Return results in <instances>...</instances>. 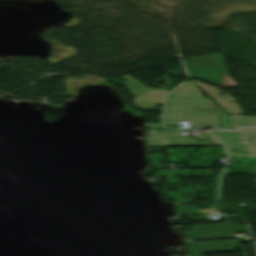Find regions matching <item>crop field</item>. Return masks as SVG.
<instances>
[{
	"label": "crop field",
	"mask_w": 256,
	"mask_h": 256,
	"mask_svg": "<svg viewBox=\"0 0 256 256\" xmlns=\"http://www.w3.org/2000/svg\"><path fill=\"white\" fill-rule=\"evenodd\" d=\"M192 227L194 232L180 233L187 238L196 240L235 238L233 232H245L249 234L247 226H242L239 223L199 225Z\"/></svg>",
	"instance_id": "412701ff"
},
{
	"label": "crop field",
	"mask_w": 256,
	"mask_h": 256,
	"mask_svg": "<svg viewBox=\"0 0 256 256\" xmlns=\"http://www.w3.org/2000/svg\"><path fill=\"white\" fill-rule=\"evenodd\" d=\"M245 134L212 132L213 137L225 144L229 156H256V132ZM247 138L252 141L255 149L248 142Z\"/></svg>",
	"instance_id": "34b2d1b8"
},
{
	"label": "crop field",
	"mask_w": 256,
	"mask_h": 256,
	"mask_svg": "<svg viewBox=\"0 0 256 256\" xmlns=\"http://www.w3.org/2000/svg\"><path fill=\"white\" fill-rule=\"evenodd\" d=\"M198 86H200L212 99H214L224 110H226L229 114H240L246 115L239 104L233 100L227 93L208 86L206 84L200 83L198 81L193 80ZM220 93L225 94L224 96L220 95ZM234 101V102H231ZM231 102V103H228Z\"/></svg>",
	"instance_id": "e52e79f7"
},
{
	"label": "crop field",
	"mask_w": 256,
	"mask_h": 256,
	"mask_svg": "<svg viewBox=\"0 0 256 256\" xmlns=\"http://www.w3.org/2000/svg\"><path fill=\"white\" fill-rule=\"evenodd\" d=\"M190 256H202L201 253L235 251L241 247L239 240L186 243Z\"/></svg>",
	"instance_id": "f4fd0767"
},
{
	"label": "crop field",
	"mask_w": 256,
	"mask_h": 256,
	"mask_svg": "<svg viewBox=\"0 0 256 256\" xmlns=\"http://www.w3.org/2000/svg\"><path fill=\"white\" fill-rule=\"evenodd\" d=\"M153 136H177L181 135V131L172 130H149Z\"/></svg>",
	"instance_id": "5a996713"
},
{
	"label": "crop field",
	"mask_w": 256,
	"mask_h": 256,
	"mask_svg": "<svg viewBox=\"0 0 256 256\" xmlns=\"http://www.w3.org/2000/svg\"><path fill=\"white\" fill-rule=\"evenodd\" d=\"M209 140L212 141L211 144L207 143V141L194 142L193 138L187 137H155L146 138V143L147 147L221 145L218 141L212 139L211 137H209Z\"/></svg>",
	"instance_id": "dd49c442"
},
{
	"label": "crop field",
	"mask_w": 256,
	"mask_h": 256,
	"mask_svg": "<svg viewBox=\"0 0 256 256\" xmlns=\"http://www.w3.org/2000/svg\"><path fill=\"white\" fill-rule=\"evenodd\" d=\"M222 128L227 130H233L229 120L228 115H219ZM232 123L235 127L234 130H251L256 129V117L252 116H240V115H232Z\"/></svg>",
	"instance_id": "d8731c3e"
},
{
	"label": "crop field",
	"mask_w": 256,
	"mask_h": 256,
	"mask_svg": "<svg viewBox=\"0 0 256 256\" xmlns=\"http://www.w3.org/2000/svg\"><path fill=\"white\" fill-rule=\"evenodd\" d=\"M120 78L126 81L124 82L127 85L125 88L130 90L128 94L135 97L133 100L136 107L150 110H162L155 108L154 105L163 104L165 94L169 91H153L128 75Z\"/></svg>",
	"instance_id": "ac0d7876"
},
{
	"label": "crop field",
	"mask_w": 256,
	"mask_h": 256,
	"mask_svg": "<svg viewBox=\"0 0 256 256\" xmlns=\"http://www.w3.org/2000/svg\"><path fill=\"white\" fill-rule=\"evenodd\" d=\"M218 114L227 113L209 99L202 98L200 90L190 81L168 95L164 123L188 121L199 124L197 128L222 129Z\"/></svg>",
	"instance_id": "8a807250"
}]
</instances>
